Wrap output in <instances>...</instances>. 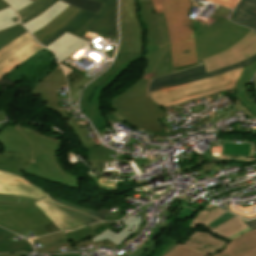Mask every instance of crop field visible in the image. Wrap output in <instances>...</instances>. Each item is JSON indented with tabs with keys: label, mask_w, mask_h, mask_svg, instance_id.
Instances as JSON below:
<instances>
[{
	"label": "crop field",
	"mask_w": 256,
	"mask_h": 256,
	"mask_svg": "<svg viewBox=\"0 0 256 256\" xmlns=\"http://www.w3.org/2000/svg\"><path fill=\"white\" fill-rule=\"evenodd\" d=\"M138 13L146 29L145 73L126 91L115 97L113 103L115 110L126 117L127 123L132 126L147 131L164 132L156 119L169 114L150 99L147 87L153 78L174 73L167 25L163 14L155 15L152 3L139 4Z\"/></svg>",
	"instance_id": "8a807250"
},
{
	"label": "crop field",
	"mask_w": 256,
	"mask_h": 256,
	"mask_svg": "<svg viewBox=\"0 0 256 256\" xmlns=\"http://www.w3.org/2000/svg\"><path fill=\"white\" fill-rule=\"evenodd\" d=\"M4 152L18 153L33 162L27 167L0 158V170L25 179V174L67 187L82 188V177L68 174L57 159L60 141L24 126H8L0 132Z\"/></svg>",
	"instance_id": "ac0d7876"
},
{
	"label": "crop field",
	"mask_w": 256,
	"mask_h": 256,
	"mask_svg": "<svg viewBox=\"0 0 256 256\" xmlns=\"http://www.w3.org/2000/svg\"><path fill=\"white\" fill-rule=\"evenodd\" d=\"M231 10L219 6L204 22L193 19L198 63L175 68V72L197 65L201 59L214 55L238 41L249 29L228 21Z\"/></svg>",
	"instance_id": "34b2d1b8"
},
{
	"label": "crop field",
	"mask_w": 256,
	"mask_h": 256,
	"mask_svg": "<svg viewBox=\"0 0 256 256\" xmlns=\"http://www.w3.org/2000/svg\"><path fill=\"white\" fill-rule=\"evenodd\" d=\"M171 39L173 66L197 62L189 0H161Z\"/></svg>",
	"instance_id": "412701ff"
},
{
	"label": "crop field",
	"mask_w": 256,
	"mask_h": 256,
	"mask_svg": "<svg viewBox=\"0 0 256 256\" xmlns=\"http://www.w3.org/2000/svg\"><path fill=\"white\" fill-rule=\"evenodd\" d=\"M242 69L239 68L201 77L149 93L155 101L164 107L174 105L213 93L234 89Z\"/></svg>",
	"instance_id": "f4fd0767"
},
{
	"label": "crop field",
	"mask_w": 256,
	"mask_h": 256,
	"mask_svg": "<svg viewBox=\"0 0 256 256\" xmlns=\"http://www.w3.org/2000/svg\"><path fill=\"white\" fill-rule=\"evenodd\" d=\"M141 57V54L117 53L115 62L111 68L84 89L80 110L93 122L96 129L109 126L101 111V98L105 89L104 85L128 70Z\"/></svg>",
	"instance_id": "dd49c442"
},
{
	"label": "crop field",
	"mask_w": 256,
	"mask_h": 256,
	"mask_svg": "<svg viewBox=\"0 0 256 256\" xmlns=\"http://www.w3.org/2000/svg\"><path fill=\"white\" fill-rule=\"evenodd\" d=\"M103 2L98 14L82 9L65 26L44 41L45 47L68 32L77 35L81 30L118 38L117 0H97Z\"/></svg>",
	"instance_id": "e52e79f7"
},
{
	"label": "crop field",
	"mask_w": 256,
	"mask_h": 256,
	"mask_svg": "<svg viewBox=\"0 0 256 256\" xmlns=\"http://www.w3.org/2000/svg\"><path fill=\"white\" fill-rule=\"evenodd\" d=\"M151 0H120L121 42L118 52L142 53L145 51V29L139 19L138 4Z\"/></svg>",
	"instance_id": "d8731c3e"
},
{
	"label": "crop field",
	"mask_w": 256,
	"mask_h": 256,
	"mask_svg": "<svg viewBox=\"0 0 256 256\" xmlns=\"http://www.w3.org/2000/svg\"><path fill=\"white\" fill-rule=\"evenodd\" d=\"M62 87H66L65 78L60 67L58 66L46 78L40 81L39 84L30 92L32 95L40 94L45 108L58 111L59 114L66 119L68 125L73 128L86 148L95 146L92 140L86 141L83 137L87 135L85 128H80L72 118L58 109L56 88Z\"/></svg>",
	"instance_id": "5a996713"
},
{
	"label": "crop field",
	"mask_w": 256,
	"mask_h": 256,
	"mask_svg": "<svg viewBox=\"0 0 256 256\" xmlns=\"http://www.w3.org/2000/svg\"><path fill=\"white\" fill-rule=\"evenodd\" d=\"M256 54V33L250 30L242 39L228 49L203 59L206 72L215 71L228 65L241 62Z\"/></svg>",
	"instance_id": "3316defc"
},
{
	"label": "crop field",
	"mask_w": 256,
	"mask_h": 256,
	"mask_svg": "<svg viewBox=\"0 0 256 256\" xmlns=\"http://www.w3.org/2000/svg\"><path fill=\"white\" fill-rule=\"evenodd\" d=\"M227 243L207 232L196 230L189 235L186 245L177 244L164 256H209Z\"/></svg>",
	"instance_id": "28ad6ade"
},
{
	"label": "crop field",
	"mask_w": 256,
	"mask_h": 256,
	"mask_svg": "<svg viewBox=\"0 0 256 256\" xmlns=\"http://www.w3.org/2000/svg\"><path fill=\"white\" fill-rule=\"evenodd\" d=\"M49 222L51 220L44 213L27 214L0 210V225L17 234L28 230L37 236L48 234L42 226Z\"/></svg>",
	"instance_id": "d1516ede"
},
{
	"label": "crop field",
	"mask_w": 256,
	"mask_h": 256,
	"mask_svg": "<svg viewBox=\"0 0 256 256\" xmlns=\"http://www.w3.org/2000/svg\"><path fill=\"white\" fill-rule=\"evenodd\" d=\"M225 211H222L220 209H215L210 204L205 206L189 223L188 227L196 229L197 226L200 224L213 232L214 234L221 236L223 238H227L240 230L248 227L246 224H244L242 220L234 217L224 224L216 227L214 230L209 227L208 225L213 222L215 219H217L219 216L224 214Z\"/></svg>",
	"instance_id": "22f410ed"
},
{
	"label": "crop field",
	"mask_w": 256,
	"mask_h": 256,
	"mask_svg": "<svg viewBox=\"0 0 256 256\" xmlns=\"http://www.w3.org/2000/svg\"><path fill=\"white\" fill-rule=\"evenodd\" d=\"M255 60H256V55L254 57L244 61V62L237 63V64L228 66L226 68H223L221 70L211 72V73H208V74H206L203 65L198 66V67H194V68H191V69H187V70H184V71H181V72H177V73H174V74H171V75H167V76H164V77L154 79L149 85V91L154 90V89H158V88L168 87V86L174 85V84L179 83V82L191 80V79L198 78V77L205 76V75H209V74H212V73L246 66V65L251 64Z\"/></svg>",
	"instance_id": "cbeb9de0"
},
{
	"label": "crop field",
	"mask_w": 256,
	"mask_h": 256,
	"mask_svg": "<svg viewBox=\"0 0 256 256\" xmlns=\"http://www.w3.org/2000/svg\"><path fill=\"white\" fill-rule=\"evenodd\" d=\"M210 256H256V230L233 239Z\"/></svg>",
	"instance_id": "5142ce71"
},
{
	"label": "crop field",
	"mask_w": 256,
	"mask_h": 256,
	"mask_svg": "<svg viewBox=\"0 0 256 256\" xmlns=\"http://www.w3.org/2000/svg\"><path fill=\"white\" fill-rule=\"evenodd\" d=\"M0 193L41 199L46 195L32 184L12 175L0 172Z\"/></svg>",
	"instance_id": "d9b57169"
},
{
	"label": "crop field",
	"mask_w": 256,
	"mask_h": 256,
	"mask_svg": "<svg viewBox=\"0 0 256 256\" xmlns=\"http://www.w3.org/2000/svg\"><path fill=\"white\" fill-rule=\"evenodd\" d=\"M36 204L60 230H72L84 226L75 218L57 208V205L55 206V204L48 197L41 199Z\"/></svg>",
	"instance_id": "733c2abd"
},
{
	"label": "crop field",
	"mask_w": 256,
	"mask_h": 256,
	"mask_svg": "<svg viewBox=\"0 0 256 256\" xmlns=\"http://www.w3.org/2000/svg\"><path fill=\"white\" fill-rule=\"evenodd\" d=\"M87 44H89V42L66 33L46 48L54 52L57 61L60 64L71 57V55L77 52L78 49L85 47Z\"/></svg>",
	"instance_id": "4a817a6b"
},
{
	"label": "crop field",
	"mask_w": 256,
	"mask_h": 256,
	"mask_svg": "<svg viewBox=\"0 0 256 256\" xmlns=\"http://www.w3.org/2000/svg\"><path fill=\"white\" fill-rule=\"evenodd\" d=\"M256 73V61L251 65L244 67L240 78L235 86V90L239 93L236 96L239 100L246 106V108L256 116V103L251 100L247 86L252 79L253 75Z\"/></svg>",
	"instance_id": "bc2a9ffb"
},
{
	"label": "crop field",
	"mask_w": 256,
	"mask_h": 256,
	"mask_svg": "<svg viewBox=\"0 0 256 256\" xmlns=\"http://www.w3.org/2000/svg\"><path fill=\"white\" fill-rule=\"evenodd\" d=\"M230 20L256 31V0H241L230 16Z\"/></svg>",
	"instance_id": "214f88e0"
},
{
	"label": "crop field",
	"mask_w": 256,
	"mask_h": 256,
	"mask_svg": "<svg viewBox=\"0 0 256 256\" xmlns=\"http://www.w3.org/2000/svg\"><path fill=\"white\" fill-rule=\"evenodd\" d=\"M81 9L69 5L58 17H56L49 24L32 33L34 37L41 43L46 40L49 36L59 30L65 25L75 14Z\"/></svg>",
	"instance_id": "92a150f3"
},
{
	"label": "crop field",
	"mask_w": 256,
	"mask_h": 256,
	"mask_svg": "<svg viewBox=\"0 0 256 256\" xmlns=\"http://www.w3.org/2000/svg\"><path fill=\"white\" fill-rule=\"evenodd\" d=\"M42 48L44 47H42L34 40L10 56L8 59L0 63V78Z\"/></svg>",
	"instance_id": "dafd665d"
},
{
	"label": "crop field",
	"mask_w": 256,
	"mask_h": 256,
	"mask_svg": "<svg viewBox=\"0 0 256 256\" xmlns=\"http://www.w3.org/2000/svg\"><path fill=\"white\" fill-rule=\"evenodd\" d=\"M68 5L64 4L63 2H57L44 13H42L37 18L29 21L28 23L24 24L25 27L32 33L39 28L43 27L51 20H53L56 16H58Z\"/></svg>",
	"instance_id": "00972430"
},
{
	"label": "crop field",
	"mask_w": 256,
	"mask_h": 256,
	"mask_svg": "<svg viewBox=\"0 0 256 256\" xmlns=\"http://www.w3.org/2000/svg\"><path fill=\"white\" fill-rule=\"evenodd\" d=\"M14 235L0 228V253L23 252L22 250L33 249L28 241L7 242V237Z\"/></svg>",
	"instance_id": "a9b5d70f"
},
{
	"label": "crop field",
	"mask_w": 256,
	"mask_h": 256,
	"mask_svg": "<svg viewBox=\"0 0 256 256\" xmlns=\"http://www.w3.org/2000/svg\"><path fill=\"white\" fill-rule=\"evenodd\" d=\"M91 244H95V246L96 244H107V245H111L112 247H115V245L108 240L92 243L90 238H88L82 242L75 243V244H72L69 240H67L62 243L54 244L45 248H39L35 250L37 253L57 252L56 248L66 247V249H73V247H79V246H85V245H91Z\"/></svg>",
	"instance_id": "4177f3b9"
},
{
	"label": "crop field",
	"mask_w": 256,
	"mask_h": 256,
	"mask_svg": "<svg viewBox=\"0 0 256 256\" xmlns=\"http://www.w3.org/2000/svg\"><path fill=\"white\" fill-rule=\"evenodd\" d=\"M32 40L33 37L30 35V33L27 32L11 44L0 50V62L8 58L10 55L18 51L20 48H22Z\"/></svg>",
	"instance_id": "730fd06b"
},
{
	"label": "crop field",
	"mask_w": 256,
	"mask_h": 256,
	"mask_svg": "<svg viewBox=\"0 0 256 256\" xmlns=\"http://www.w3.org/2000/svg\"><path fill=\"white\" fill-rule=\"evenodd\" d=\"M25 32H27V30L21 24L1 30L0 49L11 43Z\"/></svg>",
	"instance_id": "eef30255"
},
{
	"label": "crop field",
	"mask_w": 256,
	"mask_h": 256,
	"mask_svg": "<svg viewBox=\"0 0 256 256\" xmlns=\"http://www.w3.org/2000/svg\"><path fill=\"white\" fill-rule=\"evenodd\" d=\"M53 0H36L33 3H31L29 6L26 8L16 12L20 18V20H24L28 18L29 16L33 15L34 13L38 12L41 10L43 7L48 5L50 2Z\"/></svg>",
	"instance_id": "ae1a2a85"
},
{
	"label": "crop field",
	"mask_w": 256,
	"mask_h": 256,
	"mask_svg": "<svg viewBox=\"0 0 256 256\" xmlns=\"http://www.w3.org/2000/svg\"><path fill=\"white\" fill-rule=\"evenodd\" d=\"M50 198L53 199L54 201L58 202L59 204L65 206V207H68V208H71V209H74V210H78V211H81V212H84V213L91 214V215H93L95 217H98L102 220H103V218L105 217V215L108 211V209H106V208H102L98 211H95V210H91V209L76 206L74 204H71L69 202H66L64 200H61V199H58V198H55V197H52V196H50Z\"/></svg>",
	"instance_id": "d3111659"
},
{
	"label": "crop field",
	"mask_w": 256,
	"mask_h": 256,
	"mask_svg": "<svg viewBox=\"0 0 256 256\" xmlns=\"http://www.w3.org/2000/svg\"><path fill=\"white\" fill-rule=\"evenodd\" d=\"M64 240H67L66 236L63 234V232H59L56 234H51V235H46L39 238L31 239L30 241L32 242V244L41 242L44 247V246H47L53 243H58Z\"/></svg>",
	"instance_id": "750c4746"
},
{
	"label": "crop field",
	"mask_w": 256,
	"mask_h": 256,
	"mask_svg": "<svg viewBox=\"0 0 256 256\" xmlns=\"http://www.w3.org/2000/svg\"><path fill=\"white\" fill-rule=\"evenodd\" d=\"M60 1H63L64 3L71 4L79 8H84L96 13L101 5L100 2H96L92 0H60Z\"/></svg>",
	"instance_id": "bd1437ed"
},
{
	"label": "crop field",
	"mask_w": 256,
	"mask_h": 256,
	"mask_svg": "<svg viewBox=\"0 0 256 256\" xmlns=\"http://www.w3.org/2000/svg\"><path fill=\"white\" fill-rule=\"evenodd\" d=\"M87 177L91 178L93 180L94 184L97 185L100 189H102L104 191H119L118 186L121 184H125L124 182L113 183V182H110L107 180L97 178L90 174H87Z\"/></svg>",
	"instance_id": "1d83c4d3"
},
{
	"label": "crop field",
	"mask_w": 256,
	"mask_h": 256,
	"mask_svg": "<svg viewBox=\"0 0 256 256\" xmlns=\"http://www.w3.org/2000/svg\"><path fill=\"white\" fill-rule=\"evenodd\" d=\"M97 235L94 231L90 230L87 227L81 228L79 230L73 231L70 234H66L67 238L72 242H79L82 241L88 237H93Z\"/></svg>",
	"instance_id": "120bbe31"
},
{
	"label": "crop field",
	"mask_w": 256,
	"mask_h": 256,
	"mask_svg": "<svg viewBox=\"0 0 256 256\" xmlns=\"http://www.w3.org/2000/svg\"><path fill=\"white\" fill-rule=\"evenodd\" d=\"M16 16V13L10 7L0 11V30L12 25L19 24L17 22L14 23L11 19Z\"/></svg>",
	"instance_id": "d32e631a"
},
{
	"label": "crop field",
	"mask_w": 256,
	"mask_h": 256,
	"mask_svg": "<svg viewBox=\"0 0 256 256\" xmlns=\"http://www.w3.org/2000/svg\"><path fill=\"white\" fill-rule=\"evenodd\" d=\"M57 207L65 210L66 212H68L70 215H72L73 217H75L76 219H78L80 222H82L85 225L99 222V220H97V219H95V218H93L91 216L85 215L83 213L75 212V211L69 210L67 208L61 207L59 205H57Z\"/></svg>",
	"instance_id": "5866460e"
},
{
	"label": "crop field",
	"mask_w": 256,
	"mask_h": 256,
	"mask_svg": "<svg viewBox=\"0 0 256 256\" xmlns=\"http://www.w3.org/2000/svg\"><path fill=\"white\" fill-rule=\"evenodd\" d=\"M177 243H181V242L178 240H172V239L166 238L165 242L163 243L161 248L158 250V252L155 254V256H162L163 254L168 252Z\"/></svg>",
	"instance_id": "028f5c9d"
},
{
	"label": "crop field",
	"mask_w": 256,
	"mask_h": 256,
	"mask_svg": "<svg viewBox=\"0 0 256 256\" xmlns=\"http://www.w3.org/2000/svg\"><path fill=\"white\" fill-rule=\"evenodd\" d=\"M4 1H6L14 9L15 12L26 7L31 2H33L31 0H4Z\"/></svg>",
	"instance_id": "e1f06a70"
},
{
	"label": "crop field",
	"mask_w": 256,
	"mask_h": 256,
	"mask_svg": "<svg viewBox=\"0 0 256 256\" xmlns=\"http://www.w3.org/2000/svg\"><path fill=\"white\" fill-rule=\"evenodd\" d=\"M0 157L1 158H11L14 159L24 165H28L29 163H31V161L27 160L26 158L18 155V154H11V153H0Z\"/></svg>",
	"instance_id": "0bd39190"
},
{
	"label": "crop field",
	"mask_w": 256,
	"mask_h": 256,
	"mask_svg": "<svg viewBox=\"0 0 256 256\" xmlns=\"http://www.w3.org/2000/svg\"><path fill=\"white\" fill-rule=\"evenodd\" d=\"M159 244L152 242L150 245H145L143 244L142 247L140 248V250L144 251L145 253L142 256H149L150 254H152L155 249L157 248Z\"/></svg>",
	"instance_id": "b80d0937"
},
{
	"label": "crop field",
	"mask_w": 256,
	"mask_h": 256,
	"mask_svg": "<svg viewBox=\"0 0 256 256\" xmlns=\"http://www.w3.org/2000/svg\"><path fill=\"white\" fill-rule=\"evenodd\" d=\"M208 1L233 9L239 0H208Z\"/></svg>",
	"instance_id": "c035e120"
},
{
	"label": "crop field",
	"mask_w": 256,
	"mask_h": 256,
	"mask_svg": "<svg viewBox=\"0 0 256 256\" xmlns=\"http://www.w3.org/2000/svg\"><path fill=\"white\" fill-rule=\"evenodd\" d=\"M234 217L233 215H231L230 213H225L224 215H222L221 217H219L217 220H215L212 224H210L209 226L215 228L216 226L222 224L223 222L227 221L228 219Z\"/></svg>",
	"instance_id": "c21b1889"
},
{
	"label": "crop field",
	"mask_w": 256,
	"mask_h": 256,
	"mask_svg": "<svg viewBox=\"0 0 256 256\" xmlns=\"http://www.w3.org/2000/svg\"><path fill=\"white\" fill-rule=\"evenodd\" d=\"M118 209L119 210H117V211H115V212H110L109 214H108V216L106 217V219L105 220H116L118 217H119V214H120V212H121V210H122V206L120 205V206H118Z\"/></svg>",
	"instance_id": "03da06ac"
},
{
	"label": "crop field",
	"mask_w": 256,
	"mask_h": 256,
	"mask_svg": "<svg viewBox=\"0 0 256 256\" xmlns=\"http://www.w3.org/2000/svg\"><path fill=\"white\" fill-rule=\"evenodd\" d=\"M57 1H59V0L53 1L51 4H49L48 6H46L44 9H42V10L39 11L38 13H36V14H34L33 16L29 17L28 19L22 21V23H25V22H27V21H29V20H31V19L37 17L38 15H40L42 12H44L46 9H48L50 6H52V5H53L54 3H56Z\"/></svg>",
	"instance_id": "b54c1fbb"
},
{
	"label": "crop field",
	"mask_w": 256,
	"mask_h": 256,
	"mask_svg": "<svg viewBox=\"0 0 256 256\" xmlns=\"http://www.w3.org/2000/svg\"><path fill=\"white\" fill-rule=\"evenodd\" d=\"M155 8L156 14L163 13L162 5L160 3V0H152Z\"/></svg>",
	"instance_id": "5d738f31"
},
{
	"label": "crop field",
	"mask_w": 256,
	"mask_h": 256,
	"mask_svg": "<svg viewBox=\"0 0 256 256\" xmlns=\"http://www.w3.org/2000/svg\"><path fill=\"white\" fill-rule=\"evenodd\" d=\"M44 228L49 232H55V231H59V229L55 226V224L52 222L46 226H44Z\"/></svg>",
	"instance_id": "d23c7cc5"
},
{
	"label": "crop field",
	"mask_w": 256,
	"mask_h": 256,
	"mask_svg": "<svg viewBox=\"0 0 256 256\" xmlns=\"http://www.w3.org/2000/svg\"><path fill=\"white\" fill-rule=\"evenodd\" d=\"M106 223L107 222H103V223H99V224L90 225L88 227L95 231V230L101 228L102 226H104Z\"/></svg>",
	"instance_id": "425ffa30"
},
{
	"label": "crop field",
	"mask_w": 256,
	"mask_h": 256,
	"mask_svg": "<svg viewBox=\"0 0 256 256\" xmlns=\"http://www.w3.org/2000/svg\"><path fill=\"white\" fill-rule=\"evenodd\" d=\"M251 229H250V227L249 228H247V229H245V230H243V231H241V232H239V233H237V234H235V235H233V236H231V237H229V238H227V239H229L230 241L233 239V238H235V237H237V236H239V235H241V234H243V233H245V232H247V231H250Z\"/></svg>",
	"instance_id": "25e5ab78"
},
{
	"label": "crop field",
	"mask_w": 256,
	"mask_h": 256,
	"mask_svg": "<svg viewBox=\"0 0 256 256\" xmlns=\"http://www.w3.org/2000/svg\"><path fill=\"white\" fill-rule=\"evenodd\" d=\"M247 225H249L252 230L256 229V219L255 220H251V221H247L245 222Z\"/></svg>",
	"instance_id": "73cf0c24"
},
{
	"label": "crop field",
	"mask_w": 256,
	"mask_h": 256,
	"mask_svg": "<svg viewBox=\"0 0 256 256\" xmlns=\"http://www.w3.org/2000/svg\"><path fill=\"white\" fill-rule=\"evenodd\" d=\"M6 116H7V114H6L5 110L0 111V121L1 120H6Z\"/></svg>",
	"instance_id": "89e229c0"
},
{
	"label": "crop field",
	"mask_w": 256,
	"mask_h": 256,
	"mask_svg": "<svg viewBox=\"0 0 256 256\" xmlns=\"http://www.w3.org/2000/svg\"><path fill=\"white\" fill-rule=\"evenodd\" d=\"M0 256H27L26 254H0Z\"/></svg>",
	"instance_id": "1f2cbd36"
},
{
	"label": "crop field",
	"mask_w": 256,
	"mask_h": 256,
	"mask_svg": "<svg viewBox=\"0 0 256 256\" xmlns=\"http://www.w3.org/2000/svg\"><path fill=\"white\" fill-rule=\"evenodd\" d=\"M6 7H8V6L0 0V10L4 9Z\"/></svg>",
	"instance_id": "dbb93151"
},
{
	"label": "crop field",
	"mask_w": 256,
	"mask_h": 256,
	"mask_svg": "<svg viewBox=\"0 0 256 256\" xmlns=\"http://www.w3.org/2000/svg\"><path fill=\"white\" fill-rule=\"evenodd\" d=\"M190 2L192 3V5L196 4V5L200 6V7L203 6V4H200V3L195 2V1H193V0H190ZM193 7H194V6H193Z\"/></svg>",
	"instance_id": "0fb4a251"
},
{
	"label": "crop field",
	"mask_w": 256,
	"mask_h": 256,
	"mask_svg": "<svg viewBox=\"0 0 256 256\" xmlns=\"http://www.w3.org/2000/svg\"><path fill=\"white\" fill-rule=\"evenodd\" d=\"M60 256H80V254H63V255H60Z\"/></svg>",
	"instance_id": "1d79db26"
},
{
	"label": "crop field",
	"mask_w": 256,
	"mask_h": 256,
	"mask_svg": "<svg viewBox=\"0 0 256 256\" xmlns=\"http://www.w3.org/2000/svg\"><path fill=\"white\" fill-rule=\"evenodd\" d=\"M252 92H253L254 97L256 98V90H255V88L252 89Z\"/></svg>",
	"instance_id": "9d1cf04e"
},
{
	"label": "crop field",
	"mask_w": 256,
	"mask_h": 256,
	"mask_svg": "<svg viewBox=\"0 0 256 256\" xmlns=\"http://www.w3.org/2000/svg\"><path fill=\"white\" fill-rule=\"evenodd\" d=\"M4 125H5V123H1V124H0V127H2V126H4Z\"/></svg>",
	"instance_id": "447ae74e"
},
{
	"label": "crop field",
	"mask_w": 256,
	"mask_h": 256,
	"mask_svg": "<svg viewBox=\"0 0 256 256\" xmlns=\"http://www.w3.org/2000/svg\"><path fill=\"white\" fill-rule=\"evenodd\" d=\"M254 83H256V78H255V80H254ZM255 88H256V86H255Z\"/></svg>",
	"instance_id": "0765c3eb"
},
{
	"label": "crop field",
	"mask_w": 256,
	"mask_h": 256,
	"mask_svg": "<svg viewBox=\"0 0 256 256\" xmlns=\"http://www.w3.org/2000/svg\"><path fill=\"white\" fill-rule=\"evenodd\" d=\"M34 1V0H33Z\"/></svg>",
	"instance_id": "db79e9e6"
},
{
	"label": "crop field",
	"mask_w": 256,
	"mask_h": 256,
	"mask_svg": "<svg viewBox=\"0 0 256 256\" xmlns=\"http://www.w3.org/2000/svg\"><path fill=\"white\" fill-rule=\"evenodd\" d=\"M1 93V92H0Z\"/></svg>",
	"instance_id": "7b73153f"
}]
</instances>
